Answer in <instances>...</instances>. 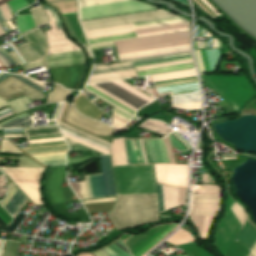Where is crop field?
Wrapping results in <instances>:
<instances>
[{"label": "crop field", "mask_w": 256, "mask_h": 256, "mask_svg": "<svg viewBox=\"0 0 256 256\" xmlns=\"http://www.w3.org/2000/svg\"><path fill=\"white\" fill-rule=\"evenodd\" d=\"M12 115V112L9 110V108L0 111V120Z\"/></svg>", "instance_id": "obj_46"}, {"label": "crop field", "mask_w": 256, "mask_h": 256, "mask_svg": "<svg viewBox=\"0 0 256 256\" xmlns=\"http://www.w3.org/2000/svg\"><path fill=\"white\" fill-rule=\"evenodd\" d=\"M0 153H21L8 140H2Z\"/></svg>", "instance_id": "obj_41"}, {"label": "crop field", "mask_w": 256, "mask_h": 256, "mask_svg": "<svg viewBox=\"0 0 256 256\" xmlns=\"http://www.w3.org/2000/svg\"><path fill=\"white\" fill-rule=\"evenodd\" d=\"M202 183H213L208 174H202Z\"/></svg>", "instance_id": "obj_49"}, {"label": "crop field", "mask_w": 256, "mask_h": 256, "mask_svg": "<svg viewBox=\"0 0 256 256\" xmlns=\"http://www.w3.org/2000/svg\"><path fill=\"white\" fill-rule=\"evenodd\" d=\"M9 46L17 54V56L20 58V60L23 62V64H25L26 61L23 59L21 54L18 52V50L16 49V46L13 43L9 44Z\"/></svg>", "instance_id": "obj_48"}, {"label": "crop field", "mask_w": 256, "mask_h": 256, "mask_svg": "<svg viewBox=\"0 0 256 256\" xmlns=\"http://www.w3.org/2000/svg\"><path fill=\"white\" fill-rule=\"evenodd\" d=\"M27 200L14 185L0 205L14 219Z\"/></svg>", "instance_id": "obj_22"}, {"label": "crop field", "mask_w": 256, "mask_h": 256, "mask_svg": "<svg viewBox=\"0 0 256 256\" xmlns=\"http://www.w3.org/2000/svg\"><path fill=\"white\" fill-rule=\"evenodd\" d=\"M115 200L116 198H111V199L84 201L82 203L92 204V203L109 202V201H115ZM114 203L115 202H109V203H100V204H92V205H84V206L88 213H93V212H101V211H110Z\"/></svg>", "instance_id": "obj_25"}, {"label": "crop field", "mask_w": 256, "mask_h": 256, "mask_svg": "<svg viewBox=\"0 0 256 256\" xmlns=\"http://www.w3.org/2000/svg\"><path fill=\"white\" fill-rule=\"evenodd\" d=\"M11 74H0V81L5 79L6 77H8Z\"/></svg>", "instance_id": "obj_51"}, {"label": "crop field", "mask_w": 256, "mask_h": 256, "mask_svg": "<svg viewBox=\"0 0 256 256\" xmlns=\"http://www.w3.org/2000/svg\"><path fill=\"white\" fill-rule=\"evenodd\" d=\"M112 46H114L113 43H107V44L93 45L90 47L92 50H94V49H100V48H106V47H112Z\"/></svg>", "instance_id": "obj_47"}, {"label": "crop field", "mask_w": 256, "mask_h": 256, "mask_svg": "<svg viewBox=\"0 0 256 256\" xmlns=\"http://www.w3.org/2000/svg\"><path fill=\"white\" fill-rule=\"evenodd\" d=\"M63 18L65 20V23H66L67 27H68V31L72 35V37L74 39H76L77 41H79L81 43V45L87 46L84 39H83V36H82L81 31L79 29V26L77 24L76 16L75 15L65 16Z\"/></svg>", "instance_id": "obj_28"}, {"label": "crop field", "mask_w": 256, "mask_h": 256, "mask_svg": "<svg viewBox=\"0 0 256 256\" xmlns=\"http://www.w3.org/2000/svg\"><path fill=\"white\" fill-rule=\"evenodd\" d=\"M247 222L242 228L241 232L239 233L236 239H238L239 241H241L246 246L252 249L256 241V230L250 226L251 224L249 222L248 223L250 225Z\"/></svg>", "instance_id": "obj_26"}, {"label": "crop field", "mask_w": 256, "mask_h": 256, "mask_svg": "<svg viewBox=\"0 0 256 256\" xmlns=\"http://www.w3.org/2000/svg\"><path fill=\"white\" fill-rule=\"evenodd\" d=\"M29 146L65 143L57 126L24 128Z\"/></svg>", "instance_id": "obj_18"}, {"label": "crop field", "mask_w": 256, "mask_h": 256, "mask_svg": "<svg viewBox=\"0 0 256 256\" xmlns=\"http://www.w3.org/2000/svg\"><path fill=\"white\" fill-rule=\"evenodd\" d=\"M67 103H60L55 113V122L58 123L64 137L74 142L80 143L86 147L96 150L102 154H110L109 147L110 143L103 141L97 137L79 131L67 124L60 122L62 113Z\"/></svg>", "instance_id": "obj_12"}, {"label": "crop field", "mask_w": 256, "mask_h": 256, "mask_svg": "<svg viewBox=\"0 0 256 256\" xmlns=\"http://www.w3.org/2000/svg\"><path fill=\"white\" fill-rule=\"evenodd\" d=\"M224 55L222 49L195 50L199 73H213L218 59Z\"/></svg>", "instance_id": "obj_21"}, {"label": "crop field", "mask_w": 256, "mask_h": 256, "mask_svg": "<svg viewBox=\"0 0 256 256\" xmlns=\"http://www.w3.org/2000/svg\"><path fill=\"white\" fill-rule=\"evenodd\" d=\"M22 137L20 128L3 129V138Z\"/></svg>", "instance_id": "obj_43"}, {"label": "crop field", "mask_w": 256, "mask_h": 256, "mask_svg": "<svg viewBox=\"0 0 256 256\" xmlns=\"http://www.w3.org/2000/svg\"><path fill=\"white\" fill-rule=\"evenodd\" d=\"M250 249L235 240L226 256H247Z\"/></svg>", "instance_id": "obj_36"}, {"label": "crop field", "mask_w": 256, "mask_h": 256, "mask_svg": "<svg viewBox=\"0 0 256 256\" xmlns=\"http://www.w3.org/2000/svg\"><path fill=\"white\" fill-rule=\"evenodd\" d=\"M29 103L30 102L28 101V99L26 97H21L19 99L9 102V103L0 99V108L9 104L11 109L13 110L14 114H16V113L22 112L24 110H27V107L25 104H29Z\"/></svg>", "instance_id": "obj_33"}, {"label": "crop field", "mask_w": 256, "mask_h": 256, "mask_svg": "<svg viewBox=\"0 0 256 256\" xmlns=\"http://www.w3.org/2000/svg\"><path fill=\"white\" fill-rule=\"evenodd\" d=\"M24 217H25V215L18 213V215L15 217V219L10 224V226L6 229V231L14 232V230L17 228V226L20 224V222L24 219Z\"/></svg>", "instance_id": "obj_45"}, {"label": "crop field", "mask_w": 256, "mask_h": 256, "mask_svg": "<svg viewBox=\"0 0 256 256\" xmlns=\"http://www.w3.org/2000/svg\"><path fill=\"white\" fill-rule=\"evenodd\" d=\"M50 4L58 7L62 15L76 14V0H46Z\"/></svg>", "instance_id": "obj_29"}, {"label": "crop field", "mask_w": 256, "mask_h": 256, "mask_svg": "<svg viewBox=\"0 0 256 256\" xmlns=\"http://www.w3.org/2000/svg\"><path fill=\"white\" fill-rule=\"evenodd\" d=\"M32 123V119L27 112L22 113L20 115L14 116L6 121L0 123V128L4 127H20L30 125Z\"/></svg>", "instance_id": "obj_27"}, {"label": "crop field", "mask_w": 256, "mask_h": 256, "mask_svg": "<svg viewBox=\"0 0 256 256\" xmlns=\"http://www.w3.org/2000/svg\"><path fill=\"white\" fill-rule=\"evenodd\" d=\"M80 20L154 10L134 0H78Z\"/></svg>", "instance_id": "obj_6"}, {"label": "crop field", "mask_w": 256, "mask_h": 256, "mask_svg": "<svg viewBox=\"0 0 256 256\" xmlns=\"http://www.w3.org/2000/svg\"><path fill=\"white\" fill-rule=\"evenodd\" d=\"M28 154L47 166L65 165L68 151L66 144L22 148Z\"/></svg>", "instance_id": "obj_14"}, {"label": "crop field", "mask_w": 256, "mask_h": 256, "mask_svg": "<svg viewBox=\"0 0 256 256\" xmlns=\"http://www.w3.org/2000/svg\"><path fill=\"white\" fill-rule=\"evenodd\" d=\"M21 95H27L33 99L44 98V94L32 89L13 77H9L0 82V97L9 100Z\"/></svg>", "instance_id": "obj_19"}, {"label": "crop field", "mask_w": 256, "mask_h": 256, "mask_svg": "<svg viewBox=\"0 0 256 256\" xmlns=\"http://www.w3.org/2000/svg\"><path fill=\"white\" fill-rule=\"evenodd\" d=\"M117 194L156 191L153 165L113 167ZM109 214L115 229L158 221L156 192L117 195Z\"/></svg>", "instance_id": "obj_1"}, {"label": "crop field", "mask_w": 256, "mask_h": 256, "mask_svg": "<svg viewBox=\"0 0 256 256\" xmlns=\"http://www.w3.org/2000/svg\"><path fill=\"white\" fill-rule=\"evenodd\" d=\"M77 256H132L123 242L119 239L92 253H81Z\"/></svg>", "instance_id": "obj_23"}, {"label": "crop field", "mask_w": 256, "mask_h": 256, "mask_svg": "<svg viewBox=\"0 0 256 256\" xmlns=\"http://www.w3.org/2000/svg\"><path fill=\"white\" fill-rule=\"evenodd\" d=\"M176 17L162 10L81 22L84 31Z\"/></svg>", "instance_id": "obj_10"}, {"label": "crop field", "mask_w": 256, "mask_h": 256, "mask_svg": "<svg viewBox=\"0 0 256 256\" xmlns=\"http://www.w3.org/2000/svg\"><path fill=\"white\" fill-rule=\"evenodd\" d=\"M190 52L189 42L117 53L119 61Z\"/></svg>", "instance_id": "obj_16"}, {"label": "crop field", "mask_w": 256, "mask_h": 256, "mask_svg": "<svg viewBox=\"0 0 256 256\" xmlns=\"http://www.w3.org/2000/svg\"><path fill=\"white\" fill-rule=\"evenodd\" d=\"M16 21L21 35L36 28L30 14L18 16Z\"/></svg>", "instance_id": "obj_32"}, {"label": "crop field", "mask_w": 256, "mask_h": 256, "mask_svg": "<svg viewBox=\"0 0 256 256\" xmlns=\"http://www.w3.org/2000/svg\"><path fill=\"white\" fill-rule=\"evenodd\" d=\"M70 92L56 84L53 91L47 96V103L66 101Z\"/></svg>", "instance_id": "obj_31"}, {"label": "crop field", "mask_w": 256, "mask_h": 256, "mask_svg": "<svg viewBox=\"0 0 256 256\" xmlns=\"http://www.w3.org/2000/svg\"><path fill=\"white\" fill-rule=\"evenodd\" d=\"M12 76L18 78L19 80L25 82L26 84L34 87L35 89L41 91V89L43 88L44 84L40 83L39 81H34L26 76H22V75H15L13 74Z\"/></svg>", "instance_id": "obj_40"}, {"label": "crop field", "mask_w": 256, "mask_h": 256, "mask_svg": "<svg viewBox=\"0 0 256 256\" xmlns=\"http://www.w3.org/2000/svg\"><path fill=\"white\" fill-rule=\"evenodd\" d=\"M22 37L28 43L18 47V50L20 51L24 59L27 61V63L41 60L47 50L46 35L43 32H41L38 28H36L26 33ZM9 54L18 62V64L21 66L24 72L44 67L42 60L23 65L13 51L9 52Z\"/></svg>", "instance_id": "obj_8"}, {"label": "crop field", "mask_w": 256, "mask_h": 256, "mask_svg": "<svg viewBox=\"0 0 256 256\" xmlns=\"http://www.w3.org/2000/svg\"><path fill=\"white\" fill-rule=\"evenodd\" d=\"M50 19V27L52 30L47 31L48 55H56L63 53L82 51L74 43L68 40L65 36L60 21L54 10L44 6L43 7ZM44 61L48 69L81 64L85 61V54L83 52L71 53L64 55L44 57Z\"/></svg>", "instance_id": "obj_4"}, {"label": "crop field", "mask_w": 256, "mask_h": 256, "mask_svg": "<svg viewBox=\"0 0 256 256\" xmlns=\"http://www.w3.org/2000/svg\"><path fill=\"white\" fill-rule=\"evenodd\" d=\"M19 167H41L27 157H19ZM4 173L26 194L34 204H42L39 194V175L43 168L1 167Z\"/></svg>", "instance_id": "obj_7"}, {"label": "crop field", "mask_w": 256, "mask_h": 256, "mask_svg": "<svg viewBox=\"0 0 256 256\" xmlns=\"http://www.w3.org/2000/svg\"><path fill=\"white\" fill-rule=\"evenodd\" d=\"M189 61H192L190 57V53L152 58V59L136 60L132 62L135 68L139 69V68L168 65V64H175V63H182V62H189ZM192 68H193V64L192 62H189V63L175 64V65H168V66L139 69L137 70V72L139 76H144V75L189 70Z\"/></svg>", "instance_id": "obj_9"}, {"label": "crop field", "mask_w": 256, "mask_h": 256, "mask_svg": "<svg viewBox=\"0 0 256 256\" xmlns=\"http://www.w3.org/2000/svg\"><path fill=\"white\" fill-rule=\"evenodd\" d=\"M66 141L68 142L69 147H71V146L77 144V143L71 142V141H69V140H66Z\"/></svg>", "instance_id": "obj_52"}, {"label": "crop field", "mask_w": 256, "mask_h": 256, "mask_svg": "<svg viewBox=\"0 0 256 256\" xmlns=\"http://www.w3.org/2000/svg\"><path fill=\"white\" fill-rule=\"evenodd\" d=\"M189 30L188 21L170 18L84 32L90 45Z\"/></svg>", "instance_id": "obj_3"}, {"label": "crop field", "mask_w": 256, "mask_h": 256, "mask_svg": "<svg viewBox=\"0 0 256 256\" xmlns=\"http://www.w3.org/2000/svg\"><path fill=\"white\" fill-rule=\"evenodd\" d=\"M75 103H76L77 109L89 117L97 119L101 115V113L98 112L100 110L97 107H95L93 104L88 102L81 95L79 98H77Z\"/></svg>", "instance_id": "obj_24"}, {"label": "crop field", "mask_w": 256, "mask_h": 256, "mask_svg": "<svg viewBox=\"0 0 256 256\" xmlns=\"http://www.w3.org/2000/svg\"><path fill=\"white\" fill-rule=\"evenodd\" d=\"M86 49H87L88 56H89V57H92L91 54H90L89 49H88V48H86Z\"/></svg>", "instance_id": "obj_54"}, {"label": "crop field", "mask_w": 256, "mask_h": 256, "mask_svg": "<svg viewBox=\"0 0 256 256\" xmlns=\"http://www.w3.org/2000/svg\"><path fill=\"white\" fill-rule=\"evenodd\" d=\"M14 184L11 182V184L8 186V188H7V193H8V191L11 189V187L13 186Z\"/></svg>", "instance_id": "obj_53"}, {"label": "crop field", "mask_w": 256, "mask_h": 256, "mask_svg": "<svg viewBox=\"0 0 256 256\" xmlns=\"http://www.w3.org/2000/svg\"><path fill=\"white\" fill-rule=\"evenodd\" d=\"M182 250H184L190 256H211L206 251H204L201 247L190 243L182 246H178Z\"/></svg>", "instance_id": "obj_34"}, {"label": "crop field", "mask_w": 256, "mask_h": 256, "mask_svg": "<svg viewBox=\"0 0 256 256\" xmlns=\"http://www.w3.org/2000/svg\"><path fill=\"white\" fill-rule=\"evenodd\" d=\"M13 18L9 9H8V6L7 4H3L0 6V21L1 20H6V19H11Z\"/></svg>", "instance_id": "obj_44"}, {"label": "crop field", "mask_w": 256, "mask_h": 256, "mask_svg": "<svg viewBox=\"0 0 256 256\" xmlns=\"http://www.w3.org/2000/svg\"><path fill=\"white\" fill-rule=\"evenodd\" d=\"M29 11H30L37 27L44 23H48V19L45 15L43 9L41 8V6L30 9Z\"/></svg>", "instance_id": "obj_37"}, {"label": "crop field", "mask_w": 256, "mask_h": 256, "mask_svg": "<svg viewBox=\"0 0 256 256\" xmlns=\"http://www.w3.org/2000/svg\"><path fill=\"white\" fill-rule=\"evenodd\" d=\"M0 218L9 225L11 221L13 220L6 212L5 210L0 206ZM0 219V228L2 230H5L8 226Z\"/></svg>", "instance_id": "obj_42"}, {"label": "crop field", "mask_w": 256, "mask_h": 256, "mask_svg": "<svg viewBox=\"0 0 256 256\" xmlns=\"http://www.w3.org/2000/svg\"><path fill=\"white\" fill-rule=\"evenodd\" d=\"M249 256H256V243H255L253 249L251 250Z\"/></svg>", "instance_id": "obj_50"}, {"label": "crop field", "mask_w": 256, "mask_h": 256, "mask_svg": "<svg viewBox=\"0 0 256 256\" xmlns=\"http://www.w3.org/2000/svg\"><path fill=\"white\" fill-rule=\"evenodd\" d=\"M189 41V31L115 42L117 52Z\"/></svg>", "instance_id": "obj_13"}, {"label": "crop field", "mask_w": 256, "mask_h": 256, "mask_svg": "<svg viewBox=\"0 0 256 256\" xmlns=\"http://www.w3.org/2000/svg\"><path fill=\"white\" fill-rule=\"evenodd\" d=\"M29 5L34 3L35 0H26ZM25 0H11L7 2L12 14L16 13L18 10L28 6V3Z\"/></svg>", "instance_id": "obj_38"}, {"label": "crop field", "mask_w": 256, "mask_h": 256, "mask_svg": "<svg viewBox=\"0 0 256 256\" xmlns=\"http://www.w3.org/2000/svg\"><path fill=\"white\" fill-rule=\"evenodd\" d=\"M54 82L68 89H74L83 72V65L49 70Z\"/></svg>", "instance_id": "obj_20"}, {"label": "crop field", "mask_w": 256, "mask_h": 256, "mask_svg": "<svg viewBox=\"0 0 256 256\" xmlns=\"http://www.w3.org/2000/svg\"><path fill=\"white\" fill-rule=\"evenodd\" d=\"M197 186H202V193L191 196L190 218L199 231L201 238L207 237V231L219 208V185H191V195Z\"/></svg>", "instance_id": "obj_5"}, {"label": "crop field", "mask_w": 256, "mask_h": 256, "mask_svg": "<svg viewBox=\"0 0 256 256\" xmlns=\"http://www.w3.org/2000/svg\"><path fill=\"white\" fill-rule=\"evenodd\" d=\"M179 224H171V225H162L158 226L157 228H153L151 230H148L140 235L133 236L130 239H128L125 243L127 248L129 249L130 247V252L132 253L133 256H144L148 251H150L152 248H154L156 245H158L164 238H166L173 230L177 228Z\"/></svg>", "instance_id": "obj_11"}, {"label": "crop field", "mask_w": 256, "mask_h": 256, "mask_svg": "<svg viewBox=\"0 0 256 256\" xmlns=\"http://www.w3.org/2000/svg\"><path fill=\"white\" fill-rule=\"evenodd\" d=\"M193 237L190 233L182 230V229H178L173 236L168 239L167 243L176 246V245H180V244H184V243H189V242H193Z\"/></svg>", "instance_id": "obj_30"}, {"label": "crop field", "mask_w": 256, "mask_h": 256, "mask_svg": "<svg viewBox=\"0 0 256 256\" xmlns=\"http://www.w3.org/2000/svg\"><path fill=\"white\" fill-rule=\"evenodd\" d=\"M132 71H135L133 68L132 62L114 64V65H108V66L100 65V66L93 67V71L91 73L90 78L108 76V75H114V74H120V73L132 72ZM135 77H138V76L136 72H133V73H127V74H121V75H115V76L89 79L87 84L135 78Z\"/></svg>", "instance_id": "obj_15"}, {"label": "crop field", "mask_w": 256, "mask_h": 256, "mask_svg": "<svg viewBox=\"0 0 256 256\" xmlns=\"http://www.w3.org/2000/svg\"><path fill=\"white\" fill-rule=\"evenodd\" d=\"M18 65L15 60H13L7 52L0 47V66H12Z\"/></svg>", "instance_id": "obj_39"}, {"label": "crop field", "mask_w": 256, "mask_h": 256, "mask_svg": "<svg viewBox=\"0 0 256 256\" xmlns=\"http://www.w3.org/2000/svg\"><path fill=\"white\" fill-rule=\"evenodd\" d=\"M7 241L0 240V254L5 246ZM18 243L17 242H11L8 241L1 256H14L17 250Z\"/></svg>", "instance_id": "obj_35"}, {"label": "crop field", "mask_w": 256, "mask_h": 256, "mask_svg": "<svg viewBox=\"0 0 256 256\" xmlns=\"http://www.w3.org/2000/svg\"><path fill=\"white\" fill-rule=\"evenodd\" d=\"M62 121L82 129L94 136L112 135L111 127L83 117L74 110L71 104L67 108Z\"/></svg>", "instance_id": "obj_17"}, {"label": "crop field", "mask_w": 256, "mask_h": 256, "mask_svg": "<svg viewBox=\"0 0 256 256\" xmlns=\"http://www.w3.org/2000/svg\"><path fill=\"white\" fill-rule=\"evenodd\" d=\"M128 165L154 164L157 184L187 188V165H175L171 147L191 149L175 132L164 139L124 140Z\"/></svg>", "instance_id": "obj_2"}, {"label": "crop field", "mask_w": 256, "mask_h": 256, "mask_svg": "<svg viewBox=\"0 0 256 256\" xmlns=\"http://www.w3.org/2000/svg\"><path fill=\"white\" fill-rule=\"evenodd\" d=\"M182 256H187V255H182Z\"/></svg>", "instance_id": "obj_55"}]
</instances>
